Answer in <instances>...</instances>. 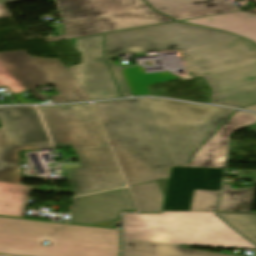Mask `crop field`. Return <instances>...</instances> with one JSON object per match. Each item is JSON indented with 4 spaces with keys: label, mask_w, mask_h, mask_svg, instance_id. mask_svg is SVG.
I'll return each instance as SVG.
<instances>
[{
    "label": "crop field",
    "mask_w": 256,
    "mask_h": 256,
    "mask_svg": "<svg viewBox=\"0 0 256 256\" xmlns=\"http://www.w3.org/2000/svg\"><path fill=\"white\" fill-rule=\"evenodd\" d=\"M94 104L130 185L167 178L171 165L186 166L235 111L153 98Z\"/></svg>",
    "instance_id": "1"
},
{
    "label": "crop field",
    "mask_w": 256,
    "mask_h": 256,
    "mask_svg": "<svg viewBox=\"0 0 256 256\" xmlns=\"http://www.w3.org/2000/svg\"><path fill=\"white\" fill-rule=\"evenodd\" d=\"M172 49L182 51L188 71L205 78L213 93L210 103L238 108L256 103V46L229 33L178 22L106 34V61L122 96L129 93L109 58Z\"/></svg>",
    "instance_id": "2"
},
{
    "label": "crop field",
    "mask_w": 256,
    "mask_h": 256,
    "mask_svg": "<svg viewBox=\"0 0 256 256\" xmlns=\"http://www.w3.org/2000/svg\"><path fill=\"white\" fill-rule=\"evenodd\" d=\"M214 213L123 215V256H234L184 249L180 244L256 249Z\"/></svg>",
    "instance_id": "3"
},
{
    "label": "crop field",
    "mask_w": 256,
    "mask_h": 256,
    "mask_svg": "<svg viewBox=\"0 0 256 256\" xmlns=\"http://www.w3.org/2000/svg\"><path fill=\"white\" fill-rule=\"evenodd\" d=\"M38 108L54 146H72L82 165L64 171L75 196L126 185L90 103Z\"/></svg>",
    "instance_id": "4"
},
{
    "label": "crop field",
    "mask_w": 256,
    "mask_h": 256,
    "mask_svg": "<svg viewBox=\"0 0 256 256\" xmlns=\"http://www.w3.org/2000/svg\"><path fill=\"white\" fill-rule=\"evenodd\" d=\"M0 254L120 256V230L0 217Z\"/></svg>",
    "instance_id": "5"
},
{
    "label": "crop field",
    "mask_w": 256,
    "mask_h": 256,
    "mask_svg": "<svg viewBox=\"0 0 256 256\" xmlns=\"http://www.w3.org/2000/svg\"><path fill=\"white\" fill-rule=\"evenodd\" d=\"M62 24L54 26L55 42L100 33L172 22L142 0H58Z\"/></svg>",
    "instance_id": "6"
},
{
    "label": "crop field",
    "mask_w": 256,
    "mask_h": 256,
    "mask_svg": "<svg viewBox=\"0 0 256 256\" xmlns=\"http://www.w3.org/2000/svg\"><path fill=\"white\" fill-rule=\"evenodd\" d=\"M0 182L18 183V150L52 147L35 107L0 109Z\"/></svg>",
    "instance_id": "7"
},
{
    "label": "crop field",
    "mask_w": 256,
    "mask_h": 256,
    "mask_svg": "<svg viewBox=\"0 0 256 256\" xmlns=\"http://www.w3.org/2000/svg\"><path fill=\"white\" fill-rule=\"evenodd\" d=\"M0 59L37 100H47L35 87L52 84L53 103L90 100L59 59L31 57L24 50L0 52Z\"/></svg>",
    "instance_id": "8"
},
{
    "label": "crop field",
    "mask_w": 256,
    "mask_h": 256,
    "mask_svg": "<svg viewBox=\"0 0 256 256\" xmlns=\"http://www.w3.org/2000/svg\"><path fill=\"white\" fill-rule=\"evenodd\" d=\"M69 42L82 52V58L80 65L67 69L90 99L120 97L103 61V34L71 39Z\"/></svg>",
    "instance_id": "9"
},
{
    "label": "crop field",
    "mask_w": 256,
    "mask_h": 256,
    "mask_svg": "<svg viewBox=\"0 0 256 256\" xmlns=\"http://www.w3.org/2000/svg\"><path fill=\"white\" fill-rule=\"evenodd\" d=\"M127 189L92 194L74 199L69 223L111 227L121 212H135Z\"/></svg>",
    "instance_id": "10"
},
{
    "label": "crop field",
    "mask_w": 256,
    "mask_h": 256,
    "mask_svg": "<svg viewBox=\"0 0 256 256\" xmlns=\"http://www.w3.org/2000/svg\"><path fill=\"white\" fill-rule=\"evenodd\" d=\"M256 122V116L237 111L193 156L189 166L224 168L231 132Z\"/></svg>",
    "instance_id": "11"
},
{
    "label": "crop field",
    "mask_w": 256,
    "mask_h": 256,
    "mask_svg": "<svg viewBox=\"0 0 256 256\" xmlns=\"http://www.w3.org/2000/svg\"><path fill=\"white\" fill-rule=\"evenodd\" d=\"M157 11L177 21L238 11L225 0H146Z\"/></svg>",
    "instance_id": "12"
},
{
    "label": "crop field",
    "mask_w": 256,
    "mask_h": 256,
    "mask_svg": "<svg viewBox=\"0 0 256 256\" xmlns=\"http://www.w3.org/2000/svg\"><path fill=\"white\" fill-rule=\"evenodd\" d=\"M197 168L172 167L163 211H189Z\"/></svg>",
    "instance_id": "13"
},
{
    "label": "crop field",
    "mask_w": 256,
    "mask_h": 256,
    "mask_svg": "<svg viewBox=\"0 0 256 256\" xmlns=\"http://www.w3.org/2000/svg\"><path fill=\"white\" fill-rule=\"evenodd\" d=\"M181 22L230 32L256 43V14L238 11Z\"/></svg>",
    "instance_id": "14"
},
{
    "label": "crop field",
    "mask_w": 256,
    "mask_h": 256,
    "mask_svg": "<svg viewBox=\"0 0 256 256\" xmlns=\"http://www.w3.org/2000/svg\"><path fill=\"white\" fill-rule=\"evenodd\" d=\"M237 179H254L253 188L231 189L224 185L218 211H250L256 186V171L238 170Z\"/></svg>",
    "instance_id": "15"
},
{
    "label": "crop field",
    "mask_w": 256,
    "mask_h": 256,
    "mask_svg": "<svg viewBox=\"0 0 256 256\" xmlns=\"http://www.w3.org/2000/svg\"><path fill=\"white\" fill-rule=\"evenodd\" d=\"M32 186L0 183V216L23 218Z\"/></svg>",
    "instance_id": "16"
},
{
    "label": "crop field",
    "mask_w": 256,
    "mask_h": 256,
    "mask_svg": "<svg viewBox=\"0 0 256 256\" xmlns=\"http://www.w3.org/2000/svg\"><path fill=\"white\" fill-rule=\"evenodd\" d=\"M167 181L168 179L130 187L141 213L162 212Z\"/></svg>",
    "instance_id": "17"
},
{
    "label": "crop field",
    "mask_w": 256,
    "mask_h": 256,
    "mask_svg": "<svg viewBox=\"0 0 256 256\" xmlns=\"http://www.w3.org/2000/svg\"><path fill=\"white\" fill-rule=\"evenodd\" d=\"M133 96L151 95L147 86L177 77L168 72L145 74L140 66L122 70Z\"/></svg>",
    "instance_id": "18"
},
{
    "label": "crop field",
    "mask_w": 256,
    "mask_h": 256,
    "mask_svg": "<svg viewBox=\"0 0 256 256\" xmlns=\"http://www.w3.org/2000/svg\"><path fill=\"white\" fill-rule=\"evenodd\" d=\"M230 225L256 244V213L218 212Z\"/></svg>",
    "instance_id": "19"
},
{
    "label": "crop field",
    "mask_w": 256,
    "mask_h": 256,
    "mask_svg": "<svg viewBox=\"0 0 256 256\" xmlns=\"http://www.w3.org/2000/svg\"><path fill=\"white\" fill-rule=\"evenodd\" d=\"M224 169L198 168L194 189L219 190Z\"/></svg>",
    "instance_id": "20"
},
{
    "label": "crop field",
    "mask_w": 256,
    "mask_h": 256,
    "mask_svg": "<svg viewBox=\"0 0 256 256\" xmlns=\"http://www.w3.org/2000/svg\"><path fill=\"white\" fill-rule=\"evenodd\" d=\"M219 191L194 190L190 211H215Z\"/></svg>",
    "instance_id": "21"
},
{
    "label": "crop field",
    "mask_w": 256,
    "mask_h": 256,
    "mask_svg": "<svg viewBox=\"0 0 256 256\" xmlns=\"http://www.w3.org/2000/svg\"><path fill=\"white\" fill-rule=\"evenodd\" d=\"M0 77L16 92H26L28 89L20 82V80L8 69V67L0 60Z\"/></svg>",
    "instance_id": "22"
},
{
    "label": "crop field",
    "mask_w": 256,
    "mask_h": 256,
    "mask_svg": "<svg viewBox=\"0 0 256 256\" xmlns=\"http://www.w3.org/2000/svg\"><path fill=\"white\" fill-rule=\"evenodd\" d=\"M10 16L5 4H0V18Z\"/></svg>",
    "instance_id": "23"
},
{
    "label": "crop field",
    "mask_w": 256,
    "mask_h": 256,
    "mask_svg": "<svg viewBox=\"0 0 256 256\" xmlns=\"http://www.w3.org/2000/svg\"><path fill=\"white\" fill-rule=\"evenodd\" d=\"M242 109H246V110H250V111H254V112H256V105L249 106V107L242 108Z\"/></svg>",
    "instance_id": "24"
},
{
    "label": "crop field",
    "mask_w": 256,
    "mask_h": 256,
    "mask_svg": "<svg viewBox=\"0 0 256 256\" xmlns=\"http://www.w3.org/2000/svg\"><path fill=\"white\" fill-rule=\"evenodd\" d=\"M7 84L0 78V86H6Z\"/></svg>",
    "instance_id": "25"
},
{
    "label": "crop field",
    "mask_w": 256,
    "mask_h": 256,
    "mask_svg": "<svg viewBox=\"0 0 256 256\" xmlns=\"http://www.w3.org/2000/svg\"><path fill=\"white\" fill-rule=\"evenodd\" d=\"M244 11H248V12L256 13V9H250V10H244Z\"/></svg>",
    "instance_id": "26"
},
{
    "label": "crop field",
    "mask_w": 256,
    "mask_h": 256,
    "mask_svg": "<svg viewBox=\"0 0 256 256\" xmlns=\"http://www.w3.org/2000/svg\"><path fill=\"white\" fill-rule=\"evenodd\" d=\"M2 1H6V0H2Z\"/></svg>",
    "instance_id": "27"
},
{
    "label": "crop field",
    "mask_w": 256,
    "mask_h": 256,
    "mask_svg": "<svg viewBox=\"0 0 256 256\" xmlns=\"http://www.w3.org/2000/svg\"><path fill=\"white\" fill-rule=\"evenodd\" d=\"M0 256H4V255H0Z\"/></svg>",
    "instance_id": "28"
}]
</instances>
